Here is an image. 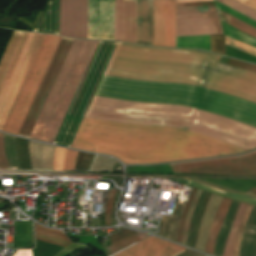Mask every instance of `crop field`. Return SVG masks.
<instances>
[{
  "label": "crop field",
  "instance_id": "1",
  "mask_svg": "<svg viewBox=\"0 0 256 256\" xmlns=\"http://www.w3.org/2000/svg\"><path fill=\"white\" fill-rule=\"evenodd\" d=\"M116 44L99 42L53 143L70 146ZM219 58L220 55L197 50L118 43L103 75L185 83L256 103V73L220 63ZM106 76L102 77L94 95L178 104L256 128L254 103L185 84ZM96 96L84 118L172 128L245 151L256 148V129L231 119L178 105ZM87 119L82 120L70 147L114 155L125 164H154L244 152L216 140L172 129Z\"/></svg>",
  "mask_w": 256,
  "mask_h": 256
},
{
  "label": "crop field",
  "instance_id": "2",
  "mask_svg": "<svg viewBox=\"0 0 256 256\" xmlns=\"http://www.w3.org/2000/svg\"><path fill=\"white\" fill-rule=\"evenodd\" d=\"M98 42L73 41L30 138L53 142Z\"/></svg>",
  "mask_w": 256,
  "mask_h": 256
},
{
  "label": "crop field",
  "instance_id": "3",
  "mask_svg": "<svg viewBox=\"0 0 256 256\" xmlns=\"http://www.w3.org/2000/svg\"><path fill=\"white\" fill-rule=\"evenodd\" d=\"M153 0H115V40L152 46Z\"/></svg>",
  "mask_w": 256,
  "mask_h": 256
},
{
  "label": "crop field",
  "instance_id": "4",
  "mask_svg": "<svg viewBox=\"0 0 256 256\" xmlns=\"http://www.w3.org/2000/svg\"><path fill=\"white\" fill-rule=\"evenodd\" d=\"M60 38L61 37L54 35L45 36L35 57V60L30 68V71L24 81V84L19 92V95L13 105V108L8 116V119L2 129L3 131L15 134L17 133Z\"/></svg>",
  "mask_w": 256,
  "mask_h": 256
},
{
  "label": "crop field",
  "instance_id": "5",
  "mask_svg": "<svg viewBox=\"0 0 256 256\" xmlns=\"http://www.w3.org/2000/svg\"><path fill=\"white\" fill-rule=\"evenodd\" d=\"M45 35L26 33L0 88V130Z\"/></svg>",
  "mask_w": 256,
  "mask_h": 256
},
{
  "label": "crop field",
  "instance_id": "6",
  "mask_svg": "<svg viewBox=\"0 0 256 256\" xmlns=\"http://www.w3.org/2000/svg\"><path fill=\"white\" fill-rule=\"evenodd\" d=\"M71 42V39L61 38L25 119L19 129L18 135L25 137L29 136Z\"/></svg>",
  "mask_w": 256,
  "mask_h": 256
},
{
  "label": "crop field",
  "instance_id": "7",
  "mask_svg": "<svg viewBox=\"0 0 256 256\" xmlns=\"http://www.w3.org/2000/svg\"><path fill=\"white\" fill-rule=\"evenodd\" d=\"M176 173L256 175V152L236 158L170 165Z\"/></svg>",
  "mask_w": 256,
  "mask_h": 256
},
{
  "label": "crop field",
  "instance_id": "8",
  "mask_svg": "<svg viewBox=\"0 0 256 256\" xmlns=\"http://www.w3.org/2000/svg\"><path fill=\"white\" fill-rule=\"evenodd\" d=\"M176 0H154L153 46L175 47Z\"/></svg>",
  "mask_w": 256,
  "mask_h": 256
},
{
  "label": "crop field",
  "instance_id": "9",
  "mask_svg": "<svg viewBox=\"0 0 256 256\" xmlns=\"http://www.w3.org/2000/svg\"><path fill=\"white\" fill-rule=\"evenodd\" d=\"M88 0H60V35L87 38Z\"/></svg>",
  "mask_w": 256,
  "mask_h": 256
},
{
  "label": "crop field",
  "instance_id": "10",
  "mask_svg": "<svg viewBox=\"0 0 256 256\" xmlns=\"http://www.w3.org/2000/svg\"><path fill=\"white\" fill-rule=\"evenodd\" d=\"M88 38L114 40V0H89Z\"/></svg>",
  "mask_w": 256,
  "mask_h": 256
},
{
  "label": "crop field",
  "instance_id": "11",
  "mask_svg": "<svg viewBox=\"0 0 256 256\" xmlns=\"http://www.w3.org/2000/svg\"><path fill=\"white\" fill-rule=\"evenodd\" d=\"M222 34L218 13L177 15L176 36Z\"/></svg>",
  "mask_w": 256,
  "mask_h": 256
},
{
  "label": "crop field",
  "instance_id": "12",
  "mask_svg": "<svg viewBox=\"0 0 256 256\" xmlns=\"http://www.w3.org/2000/svg\"><path fill=\"white\" fill-rule=\"evenodd\" d=\"M184 249L158 238L149 237L113 256H173Z\"/></svg>",
  "mask_w": 256,
  "mask_h": 256
},
{
  "label": "crop field",
  "instance_id": "13",
  "mask_svg": "<svg viewBox=\"0 0 256 256\" xmlns=\"http://www.w3.org/2000/svg\"><path fill=\"white\" fill-rule=\"evenodd\" d=\"M212 51L224 54L223 35H211ZM210 36L176 37V47L211 51Z\"/></svg>",
  "mask_w": 256,
  "mask_h": 256
},
{
  "label": "crop field",
  "instance_id": "14",
  "mask_svg": "<svg viewBox=\"0 0 256 256\" xmlns=\"http://www.w3.org/2000/svg\"><path fill=\"white\" fill-rule=\"evenodd\" d=\"M53 149L52 146L29 141L32 169L53 170Z\"/></svg>",
  "mask_w": 256,
  "mask_h": 256
},
{
  "label": "crop field",
  "instance_id": "15",
  "mask_svg": "<svg viewBox=\"0 0 256 256\" xmlns=\"http://www.w3.org/2000/svg\"><path fill=\"white\" fill-rule=\"evenodd\" d=\"M34 31L59 35V0H49Z\"/></svg>",
  "mask_w": 256,
  "mask_h": 256
},
{
  "label": "crop field",
  "instance_id": "16",
  "mask_svg": "<svg viewBox=\"0 0 256 256\" xmlns=\"http://www.w3.org/2000/svg\"><path fill=\"white\" fill-rule=\"evenodd\" d=\"M221 198H222L221 196L212 194L209 199L205 213L201 220L199 233H198V237H197V242H196V246H195L196 249H200L203 251L205 249L207 235H208L209 229L211 227L213 218L215 216V213H216V210L218 208Z\"/></svg>",
  "mask_w": 256,
  "mask_h": 256
},
{
  "label": "crop field",
  "instance_id": "17",
  "mask_svg": "<svg viewBox=\"0 0 256 256\" xmlns=\"http://www.w3.org/2000/svg\"><path fill=\"white\" fill-rule=\"evenodd\" d=\"M25 33L14 31L0 62V86Z\"/></svg>",
  "mask_w": 256,
  "mask_h": 256
},
{
  "label": "crop field",
  "instance_id": "18",
  "mask_svg": "<svg viewBox=\"0 0 256 256\" xmlns=\"http://www.w3.org/2000/svg\"><path fill=\"white\" fill-rule=\"evenodd\" d=\"M232 200L223 198L217 210L215 219L209 232L205 251L213 255V248L219 229L224 221L227 209Z\"/></svg>",
  "mask_w": 256,
  "mask_h": 256
},
{
  "label": "crop field",
  "instance_id": "19",
  "mask_svg": "<svg viewBox=\"0 0 256 256\" xmlns=\"http://www.w3.org/2000/svg\"><path fill=\"white\" fill-rule=\"evenodd\" d=\"M247 207H248V204H245L242 202L239 205L233 224L231 226V230L229 233V237L225 246L223 256H233L235 238L237 236L238 230L240 228V225Z\"/></svg>",
  "mask_w": 256,
  "mask_h": 256
},
{
  "label": "crop field",
  "instance_id": "20",
  "mask_svg": "<svg viewBox=\"0 0 256 256\" xmlns=\"http://www.w3.org/2000/svg\"><path fill=\"white\" fill-rule=\"evenodd\" d=\"M36 238L56 245L68 246L70 241L63 232L50 230L35 223Z\"/></svg>",
  "mask_w": 256,
  "mask_h": 256
},
{
  "label": "crop field",
  "instance_id": "21",
  "mask_svg": "<svg viewBox=\"0 0 256 256\" xmlns=\"http://www.w3.org/2000/svg\"><path fill=\"white\" fill-rule=\"evenodd\" d=\"M188 186L199 188L201 190H204V191H207V192H210V193H213V194L221 195V196H224V197H228V198H231V199H235V200H239V201H243V202H247V203L256 205V199H253V198H250V197L228 193V192L218 190V189H215V188H211V187H208V186H204V185H201L199 183L192 182V181H189Z\"/></svg>",
  "mask_w": 256,
  "mask_h": 256
},
{
  "label": "crop field",
  "instance_id": "22",
  "mask_svg": "<svg viewBox=\"0 0 256 256\" xmlns=\"http://www.w3.org/2000/svg\"><path fill=\"white\" fill-rule=\"evenodd\" d=\"M148 235L147 234H142V233H134L126 238H124L123 240L105 248L108 256L144 239L145 237H147Z\"/></svg>",
  "mask_w": 256,
  "mask_h": 256
},
{
  "label": "crop field",
  "instance_id": "23",
  "mask_svg": "<svg viewBox=\"0 0 256 256\" xmlns=\"http://www.w3.org/2000/svg\"><path fill=\"white\" fill-rule=\"evenodd\" d=\"M222 21L256 38V29L241 22L240 20L220 11Z\"/></svg>",
  "mask_w": 256,
  "mask_h": 256
},
{
  "label": "crop field",
  "instance_id": "24",
  "mask_svg": "<svg viewBox=\"0 0 256 256\" xmlns=\"http://www.w3.org/2000/svg\"><path fill=\"white\" fill-rule=\"evenodd\" d=\"M223 28H224V32L226 35H228L236 40L245 42L247 44H250V45H253L256 47V39L255 38L228 26L226 23H223Z\"/></svg>",
  "mask_w": 256,
  "mask_h": 256
},
{
  "label": "crop field",
  "instance_id": "25",
  "mask_svg": "<svg viewBox=\"0 0 256 256\" xmlns=\"http://www.w3.org/2000/svg\"><path fill=\"white\" fill-rule=\"evenodd\" d=\"M221 3L228 5L229 7L241 12L242 14L256 20V11L235 1V0H217Z\"/></svg>",
  "mask_w": 256,
  "mask_h": 256
},
{
  "label": "crop field",
  "instance_id": "26",
  "mask_svg": "<svg viewBox=\"0 0 256 256\" xmlns=\"http://www.w3.org/2000/svg\"><path fill=\"white\" fill-rule=\"evenodd\" d=\"M225 40L227 45L256 56V48L249 46L247 44H244L242 42L236 41L226 35H225Z\"/></svg>",
  "mask_w": 256,
  "mask_h": 256
},
{
  "label": "crop field",
  "instance_id": "27",
  "mask_svg": "<svg viewBox=\"0 0 256 256\" xmlns=\"http://www.w3.org/2000/svg\"><path fill=\"white\" fill-rule=\"evenodd\" d=\"M216 6H217L218 9H220V10H222L224 12H227L230 15H232V16H234V17H236V18H238V19H240V20H242V21H244V22H246V23L256 27V21H254V20H252V19H250V18H248V17H246V16H244V15H242V14H240V13H238V12H236V11L230 9V8H228L227 6L221 4V3L217 2V1H216Z\"/></svg>",
  "mask_w": 256,
  "mask_h": 256
},
{
  "label": "crop field",
  "instance_id": "28",
  "mask_svg": "<svg viewBox=\"0 0 256 256\" xmlns=\"http://www.w3.org/2000/svg\"><path fill=\"white\" fill-rule=\"evenodd\" d=\"M196 190L197 189H195V188L192 189V191L190 193V196H189V198H188V200H187V202L184 206V210H183V214H182L181 221H180V226H179L178 238H177V241L180 242V243H181V240H182L184 220L186 218V215L188 213L192 198H193Z\"/></svg>",
  "mask_w": 256,
  "mask_h": 256
},
{
  "label": "crop field",
  "instance_id": "29",
  "mask_svg": "<svg viewBox=\"0 0 256 256\" xmlns=\"http://www.w3.org/2000/svg\"><path fill=\"white\" fill-rule=\"evenodd\" d=\"M201 192H202L201 190H199V189L197 190V192L194 196V199L192 201L189 213H188L187 218L185 220L184 235H183V241H182V243H184V244L186 242V237H187L188 228H189L190 220H191V217H192V213H193V210H194V208H195V206H196V204L199 200Z\"/></svg>",
  "mask_w": 256,
  "mask_h": 256
},
{
  "label": "crop field",
  "instance_id": "30",
  "mask_svg": "<svg viewBox=\"0 0 256 256\" xmlns=\"http://www.w3.org/2000/svg\"><path fill=\"white\" fill-rule=\"evenodd\" d=\"M217 12L214 6L177 8V14Z\"/></svg>",
  "mask_w": 256,
  "mask_h": 256
},
{
  "label": "crop field",
  "instance_id": "31",
  "mask_svg": "<svg viewBox=\"0 0 256 256\" xmlns=\"http://www.w3.org/2000/svg\"><path fill=\"white\" fill-rule=\"evenodd\" d=\"M66 149L55 147L54 150V170H63Z\"/></svg>",
  "mask_w": 256,
  "mask_h": 256
},
{
  "label": "crop field",
  "instance_id": "32",
  "mask_svg": "<svg viewBox=\"0 0 256 256\" xmlns=\"http://www.w3.org/2000/svg\"><path fill=\"white\" fill-rule=\"evenodd\" d=\"M115 192L116 190L110 189V192L108 194L106 210H105V226L110 225V222H111V206H112Z\"/></svg>",
  "mask_w": 256,
  "mask_h": 256
},
{
  "label": "crop field",
  "instance_id": "33",
  "mask_svg": "<svg viewBox=\"0 0 256 256\" xmlns=\"http://www.w3.org/2000/svg\"><path fill=\"white\" fill-rule=\"evenodd\" d=\"M2 135L3 134L0 133V169H10L3 145Z\"/></svg>",
  "mask_w": 256,
  "mask_h": 256
},
{
  "label": "crop field",
  "instance_id": "34",
  "mask_svg": "<svg viewBox=\"0 0 256 256\" xmlns=\"http://www.w3.org/2000/svg\"><path fill=\"white\" fill-rule=\"evenodd\" d=\"M77 153L76 151H67L64 170H74Z\"/></svg>",
  "mask_w": 256,
  "mask_h": 256
},
{
  "label": "crop field",
  "instance_id": "35",
  "mask_svg": "<svg viewBox=\"0 0 256 256\" xmlns=\"http://www.w3.org/2000/svg\"><path fill=\"white\" fill-rule=\"evenodd\" d=\"M134 232L135 231L119 229V233L110 236L111 244L119 241L120 239H122V238H124V237H126V236H128V235H130Z\"/></svg>",
  "mask_w": 256,
  "mask_h": 256
},
{
  "label": "crop field",
  "instance_id": "36",
  "mask_svg": "<svg viewBox=\"0 0 256 256\" xmlns=\"http://www.w3.org/2000/svg\"><path fill=\"white\" fill-rule=\"evenodd\" d=\"M228 64H231V65H234V66L246 69V70H250V71L256 72V66L248 64V63H244V62H240V61H236V60L230 59Z\"/></svg>",
  "mask_w": 256,
  "mask_h": 256
},
{
  "label": "crop field",
  "instance_id": "37",
  "mask_svg": "<svg viewBox=\"0 0 256 256\" xmlns=\"http://www.w3.org/2000/svg\"><path fill=\"white\" fill-rule=\"evenodd\" d=\"M214 5V1L177 3V7Z\"/></svg>",
  "mask_w": 256,
  "mask_h": 256
},
{
  "label": "crop field",
  "instance_id": "38",
  "mask_svg": "<svg viewBox=\"0 0 256 256\" xmlns=\"http://www.w3.org/2000/svg\"><path fill=\"white\" fill-rule=\"evenodd\" d=\"M256 10V0H237Z\"/></svg>",
  "mask_w": 256,
  "mask_h": 256
},
{
  "label": "crop field",
  "instance_id": "39",
  "mask_svg": "<svg viewBox=\"0 0 256 256\" xmlns=\"http://www.w3.org/2000/svg\"><path fill=\"white\" fill-rule=\"evenodd\" d=\"M13 256H32L31 250H17Z\"/></svg>",
  "mask_w": 256,
  "mask_h": 256
},
{
  "label": "crop field",
  "instance_id": "40",
  "mask_svg": "<svg viewBox=\"0 0 256 256\" xmlns=\"http://www.w3.org/2000/svg\"><path fill=\"white\" fill-rule=\"evenodd\" d=\"M182 254H185V255H188V256H204V255H201L199 253H196V252H193V251H190V250H187V251L183 252ZM182 254H179L177 256H185V255H182Z\"/></svg>",
  "mask_w": 256,
  "mask_h": 256
},
{
  "label": "crop field",
  "instance_id": "41",
  "mask_svg": "<svg viewBox=\"0 0 256 256\" xmlns=\"http://www.w3.org/2000/svg\"><path fill=\"white\" fill-rule=\"evenodd\" d=\"M247 193H251V194L256 195V188L255 187L251 188L249 191H247Z\"/></svg>",
  "mask_w": 256,
  "mask_h": 256
}]
</instances>
